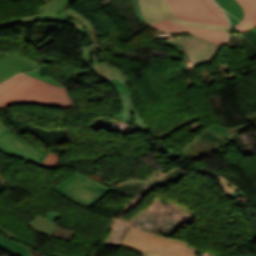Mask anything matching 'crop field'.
Returning <instances> with one entry per match:
<instances>
[{"mask_svg":"<svg viewBox=\"0 0 256 256\" xmlns=\"http://www.w3.org/2000/svg\"><path fill=\"white\" fill-rule=\"evenodd\" d=\"M45 4L38 5L37 10L42 20H56L61 23H66L79 30V33L83 37L86 34L87 44L90 46L83 47L84 59L89 68L92 69L100 77L106 79L117 78L124 84L127 77L123 71L115 65L104 60L101 46L95 45L93 34L90 32L91 26H93L89 20L83 16H80L69 6L77 3L79 0H41Z\"/></svg>","mask_w":256,"mask_h":256,"instance_id":"8a807250","label":"crop field"},{"mask_svg":"<svg viewBox=\"0 0 256 256\" xmlns=\"http://www.w3.org/2000/svg\"><path fill=\"white\" fill-rule=\"evenodd\" d=\"M14 104L74 108L67 89L51 85L23 73L0 84V110Z\"/></svg>","mask_w":256,"mask_h":256,"instance_id":"ac0d7876","label":"crop field"},{"mask_svg":"<svg viewBox=\"0 0 256 256\" xmlns=\"http://www.w3.org/2000/svg\"><path fill=\"white\" fill-rule=\"evenodd\" d=\"M122 246L139 250L147 256H196L198 249L182 241L130 228Z\"/></svg>","mask_w":256,"mask_h":256,"instance_id":"34b2d1b8","label":"crop field"},{"mask_svg":"<svg viewBox=\"0 0 256 256\" xmlns=\"http://www.w3.org/2000/svg\"><path fill=\"white\" fill-rule=\"evenodd\" d=\"M53 188L67 198L89 208L112 189L77 173Z\"/></svg>","mask_w":256,"mask_h":256,"instance_id":"412701ff","label":"crop field"},{"mask_svg":"<svg viewBox=\"0 0 256 256\" xmlns=\"http://www.w3.org/2000/svg\"><path fill=\"white\" fill-rule=\"evenodd\" d=\"M0 151L12 156L27 159L39 166L48 154V152L18 138L9 129L0 133Z\"/></svg>","mask_w":256,"mask_h":256,"instance_id":"f4fd0767","label":"crop field"},{"mask_svg":"<svg viewBox=\"0 0 256 256\" xmlns=\"http://www.w3.org/2000/svg\"><path fill=\"white\" fill-rule=\"evenodd\" d=\"M139 3L142 15L148 25L168 18L174 22L183 23L190 26H199L224 32H228L229 29V27L202 25L179 20L173 15L167 0H139Z\"/></svg>","mask_w":256,"mask_h":256,"instance_id":"dd49c442","label":"crop field"},{"mask_svg":"<svg viewBox=\"0 0 256 256\" xmlns=\"http://www.w3.org/2000/svg\"><path fill=\"white\" fill-rule=\"evenodd\" d=\"M173 41H178L187 47L190 52L193 67L212 61L220 48L219 45L194 35L185 36Z\"/></svg>","mask_w":256,"mask_h":256,"instance_id":"e52e79f7","label":"crop field"},{"mask_svg":"<svg viewBox=\"0 0 256 256\" xmlns=\"http://www.w3.org/2000/svg\"><path fill=\"white\" fill-rule=\"evenodd\" d=\"M108 82L117 91L120 97V102H121L122 111H120V113L117 116H113V117H121L117 121L124 122L125 124H128V125L136 124V126H138L141 129L148 128L140 118L135 108L134 99L129 89L126 88L125 85L117 79L110 80Z\"/></svg>","mask_w":256,"mask_h":256,"instance_id":"d8731c3e","label":"crop field"},{"mask_svg":"<svg viewBox=\"0 0 256 256\" xmlns=\"http://www.w3.org/2000/svg\"><path fill=\"white\" fill-rule=\"evenodd\" d=\"M150 27L166 33H180V32L191 33L196 36L202 37L206 40L217 43L219 45L225 42V38L228 34L224 32H218V31L199 28V27H189L186 25L174 23L168 19L158 22L156 24H153Z\"/></svg>","mask_w":256,"mask_h":256,"instance_id":"5a996713","label":"crop field"},{"mask_svg":"<svg viewBox=\"0 0 256 256\" xmlns=\"http://www.w3.org/2000/svg\"><path fill=\"white\" fill-rule=\"evenodd\" d=\"M39 64L22 56L9 54L0 57V82L24 71L39 68Z\"/></svg>","mask_w":256,"mask_h":256,"instance_id":"3316defc","label":"crop field"},{"mask_svg":"<svg viewBox=\"0 0 256 256\" xmlns=\"http://www.w3.org/2000/svg\"><path fill=\"white\" fill-rule=\"evenodd\" d=\"M174 15L213 20L196 0H168Z\"/></svg>","mask_w":256,"mask_h":256,"instance_id":"28ad6ade","label":"crop field"},{"mask_svg":"<svg viewBox=\"0 0 256 256\" xmlns=\"http://www.w3.org/2000/svg\"><path fill=\"white\" fill-rule=\"evenodd\" d=\"M31 246L40 250L38 247L24 241L23 239H21L19 242H15L5 238L0 234V249L14 256H34ZM48 254H51V253H48ZM51 255L56 256L54 254H51Z\"/></svg>","mask_w":256,"mask_h":256,"instance_id":"d1516ede","label":"crop field"},{"mask_svg":"<svg viewBox=\"0 0 256 256\" xmlns=\"http://www.w3.org/2000/svg\"><path fill=\"white\" fill-rule=\"evenodd\" d=\"M251 123L239 125L237 127H221L218 124H212L208 129L213 133L223 137L226 140H232L234 136L245 130Z\"/></svg>","mask_w":256,"mask_h":256,"instance_id":"22f410ed","label":"crop field"},{"mask_svg":"<svg viewBox=\"0 0 256 256\" xmlns=\"http://www.w3.org/2000/svg\"><path fill=\"white\" fill-rule=\"evenodd\" d=\"M245 12L243 21L251 28L256 24V0H236Z\"/></svg>","mask_w":256,"mask_h":256,"instance_id":"cbeb9de0","label":"crop field"},{"mask_svg":"<svg viewBox=\"0 0 256 256\" xmlns=\"http://www.w3.org/2000/svg\"><path fill=\"white\" fill-rule=\"evenodd\" d=\"M197 1L202 5V7L211 15V17L215 21L197 20V19L178 17V16H176V17L179 19L198 22V23H202V24L228 26V22H222L221 19L219 18V16L214 12V10L204 0H197Z\"/></svg>","mask_w":256,"mask_h":256,"instance_id":"5142ce71","label":"crop field"},{"mask_svg":"<svg viewBox=\"0 0 256 256\" xmlns=\"http://www.w3.org/2000/svg\"><path fill=\"white\" fill-rule=\"evenodd\" d=\"M222 8L226 11L237 17L238 19L242 20L244 12L241 6L235 0H216Z\"/></svg>","mask_w":256,"mask_h":256,"instance_id":"d9b57169","label":"crop field"},{"mask_svg":"<svg viewBox=\"0 0 256 256\" xmlns=\"http://www.w3.org/2000/svg\"><path fill=\"white\" fill-rule=\"evenodd\" d=\"M29 224L37 230L48 234H50L51 231L57 226L56 224L46 220L39 214Z\"/></svg>","mask_w":256,"mask_h":256,"instance_id":"733c2abd","label":"crop field"},{"mask_svg":"<svg viewBox=\"0 0 256 256\" xmlns=\"http://www.w3.org/2000/svg\"><path fill=\"white\" fill-rule=\"evenodd\" d=\"M38 21H41L39 15L23 16L19 18L2 21L0 22V27L18 25V24H23L27 22H38Z\"/></svg>","mask_w":256,"mask_h":256,"instance_id":"4a817a6b","label":"crop field"},{"mask_svg":"<svg viewBox=\"0 0 256 256\" xmlns=\"http://www.w3.org/2000/svg\"><path fill=\"white\" fill-rule=\"evenodd\" d=\"M43 67L39 68L38 70L36 71H33V72H28L26 74H29L35 78H38V79H41V80H44V81H47L51 84H54V85H58V86H62L64 87L63 85H61L58 81L54 80L53 77H42L41 76V71H42Z\"/></svg>","mask_w":256,"mask_h":256,"instance_id":"bc2a9ffb","label":"crop field"},{"mask_svg":"<svg viewBox=\"0 0 256 256\" xmlns=\"http://www.w3.org/2000/svg\"><path fill=\"white\" fill-rule=\"evenodd\" d=\"M59 156L49 153L45 161L41 164L42 167H50L57 163Z\"/></svg>","mask_w":256,"mask_h":256,"instance_id":"214f88e0","label":"crop field"},{"mask_svg":"<svg viewBox=\"0 0 256 256\" xmlns=\"http://www.w3.org/2000/svg\"><path fill=\"white\" fill-rule=\"evenodd\" d=\"M205 1L215 10V12L222 19V21H228L227 17L223 14L220 8L213 2V0H205Z\"/></svg>","mask_w":256,"mask_h":256,"instance_id":"92a150f3","label":"crop field"},{"mask_svg":"<svg viewBox=\"0 0 256 256\" xmlns=\"http://www.w3.org/2000/svg\"><path fill=\"white\" fill-rule=\"evenodd\" d=\"M132 1L134 3V7H135L138 18L141 19L142 21H144L142 16H141L138 0H132Z\"/></svg>","mask_w":256,"mask_h":256,"instance_id":"dafd665d","label":"crop field"},{"mask_svg":"<svg viewBox=\"0 0 256 256\" xmlns=\"http://www.w3.org/2000/svg\"><path fill=\"white\" fill-rule=\"evenodd\" d=\"M237 29H238V31L242 34V33H244L245 31H247L248 29H250V28H248L246 25H244L243 23H239V24H237L236 26H235Z\"/></svg>","mask_w":256,"mask_h":256,"instance_id":"00972430","label":"crop field"},{"mask_svg":"<svg viewBox=\"0 0 256 256\" xmlns=\"http://www.w3.org/2000/svg\"><path fill=\"white\" fill-rule=\"evenodd\" d=\"M228 16H229V18H230V21H231V23L235 26L238 22H240V21H238L236 18H234L233 16H231V15H229L228 13H226Z\"/></svg>","mask_w":256,"mask_h":256,"instance_id":"a9b5d70f","label":"crop field"},{"mask_svg":"<svg viewBox=\"0 0 256 256\" xmlns=\"http://www.w3.org/2000/svg\"><path fill=\"white\" fill-rule=\"evenodd\" d=\"M6 128L7 127L0 121V132Z\"/></svg>","mask_w":256,"mask_h":256,"instance_id":"4177f3b9","label":"crop field"},{"mask_svg":"<svg viewBox=\"0 0 256 256\" xmlns=\"http://www.w3.org/2000/svg\"><path fill=\"white\" fill-rule=\"evenodd\" d=\"M253 29H255V30H256V25H255V27H254Z\"/></svg>","mask_w":256,"mask_h":256,"instance_id":"730fd06b","label":"crop field"},{"mask_svg":"<svg viewBox=\"0 0 256 256\" xmlns=\"http://www.w3.org/2000/svg\"><path fill=\"white\" fill-rule=\"evenodd\" d=\"M256 124V123H255Z\"/></svg>","mask_w":256,"mask_h":256,"instance_id":"eef30255","label":"crop field"}]
</instances>
